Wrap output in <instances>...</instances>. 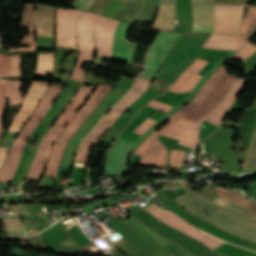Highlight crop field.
I'll list each match as a JSON object with an SVG mask.
<instances>
[{"label":"crop field","instance_id":"1","mask_svg":"<svg viewBox=\"0 0 256 256\" xmlns=\"http://www.w3.org/2000/svg\"><path fill=\"white\" fill-rule=\"evenodd\" d=\"M179 35L180 33L160 32L149 49L146 58V66L141 77L154 80L160 69L165 53ZM141 77L138 78L133 88L100 120L82 142L76 161L88 163L90 151L94 148L97 141L118 119L122 111L146 92L152 80Z\"/></svg>","mask_w":256,"mask_h":256},{"label":"crop field","instance_id":"2","mask_svg":"<svg viewBox=\"0 0 256 256\" xmlns=\"http://www.w3.org/2000/svg\"><path fill=\"white\" fill-rule=\"evenodd\" d=\"M237 81H238L237 77L227 74L211 89V91L208 93V95L205 97L202 103L198 107H196L192 112L184 115L183 118L200 125V123L204 119L211 117L213 113L216 112L220 104L232 91ZM183 118H181L175 124H173L170 128H168L167 131L174 132V133L198 140L199 126ZM167 131H165V133L173 134ZM165 133H163L162 135L180 139L179 141L180 144H183L192 148H194L197 145V142H195L196 140L191 141L193 139L187 140L189 138L184 139L186 137L180 138L183 136L173 134L176 136H180V137H176V136L165 134Z\"/></svg>","mask_w":256,"mask_h":256},{"label":"crop field","instance_id":"3","mask_svg":"<svg viewBox=\"0 0 256 256\" xmlns=\"http://www.w3.org/2000/svg\"><path fill=\"white\" fill-rule=\"evenodd\" d=\"M191 213L223 228L240 237L256 242V229L252 224L234 214H231L217 206L203 200L195 194L189 192L181 197H177L175 201ZM216 208V209H214ZM214 209V210H212ZM212 210L211 215L215 216L212 219L206 217L202 213Z\"/></svg>","mask_w":256,"mask_h":256},{"label":"crop field","instance_id":"4","mask_svg":"<svg viewBox=\"0 0 256 256\" xmlns=\"http://www.w3.org/2000/svg\"><path fill=\"white\" fill-rule=\"evenodd\" d=\"M95 87H82L80 91L76 94L73 102L65 109L57 123L52 127V129L47 133L42 144L40 145L36 158L30 169L26 180L39 182L42 177L47 158L50 154L51 144L55 142L57 137L62 132L64 126L70 121L82 103L87 99Z\"/></svg>","mask_w":256,"mask_h":256},{"label":"crop field","instance_id":"5","mask_svg":"<svg viewBox=\"0 0 256 256\" xmlns=\"http://www.w3.org/2000/svg\"><path fill=\"white\" fill-rule=\"evenodd\" d=\"M61 91L62 90L57 85H53L43 97L31 120L24 126L20 135L16 138L6 166L2 172L0 181L7 183L11 182L18 166L22 150L25 146V141L32 134L38 123L46 115Z\"/></svg>","mask_w":256,"mask_h":256},{"label":"crop field","instance_id":"6","mask_svg":"<svg viewBox=\"0 0 256 256\" xmlns=\"http://www.w3.org/2000/svg\"><path fill=\"white\" fill-rule=\"evenodd\" d=\"M133 83V80L122 75L119 83L109 92V94L104 98V100L72 138L63 155L61 166L72 165L73 157L80 141L101 119L102 115L123 97V95L131 88Z\"/></svg>","mask_w":256,"mask_h":256},{"label":"crop field","instance_id":"7","mask_svg":"<svg viewBox=\"0 0 256 256\" xmlns=\"http://www.w3.org/2000/svg\"><path fill=\"white\" fill-rule=\"evenodd\" d=\"M112 86H103L99 85V88L96 90L95 93L91 95V97L87 100V102L82 106L79 112L74 116L59 138L56 140L51 156L47 163V170L46 174L54 177L57 172L58 164L61 160V156L63 150L69 141V139L73 136L76 129L82 124L84 119L89 116V114L93 111V109L98 105V103L102 100L105 96L107 91ZM109 92V91H108ZM86 120V119H85ZM58 141L61 142V145H58Z\"/></svg>","mask_w":256,"mask_h":256},{"label":"crop field","instance_id":"8","mask_svg":"<svg viewBox=\"0 0 256 256\" xmlns=\"http://www.w3.org/2000/svg\"><path fill=\"white\" fill-rule=\"evenodd\" d=\"M99 15L83 12L76 25L79 59L73 70L72 78L84 82L81 70L84 62H92L95 53L93 29Z\"/></svg>","mask_w":256,"mask_h":256},{"label":"crop field","instance_id":"9","mask_svg":"<svg viewBox=\"0 0 256 256\" xmlns=\"http://www.w3.org/2000/svg\"><path fill=\"white\" fill-rule=\"evenodd\" d=\"M81 13V11L77 10L57 8L55 22L56 45L77 49L75 23Z\"/></svg>","mask_w":256,"mask_h":256},{"label":"crop field","instance_id":"10","mask_svg":"<svg viewBox=\"0 0 256 256\" xmlns=\"http://www.w3.org/2000/svg\"><path fill=\"white\" fill-rule=\"evenodd\" d=\"M146 209L150 211L153 215H155L157 218H159L161 221L202 241L207 246H209L212 250L224 242V241L221 242L218 239L196 229L195 227L187 224L183 219L176 216L175 214L165 211L154 204L148 206Z\"/></svg>","mask_w":256,"mask_h":256},{"label":"crop field","instance_id":"11","mask_svg":"<svg viewBox=\"0 0 256 256\" xmlns=\"http://www.w3.org/2000/svg\"><path fill=\"white\" fill-rule=\"evenodd\" d=\"M245 6L215 5L214 32L238 35Z\"/></svg>","mask_w":256,"mask_h":256},{"label":"crop field","instance_id":"12","mask_svg":"<svg viewBox=\"0 0 256 256\" xmlns=\"http://www.w3.org/2000/svg\"><path fill=\"white\" fill-rule=\"evenodd\" d=\"M47 87L48 82H32L31 88L26 94L22 106L16 117L13 119L8 131L19 133L20 129L30 117Z\"/></svg>","mask_w":256,"mask_h":256},{"label":"crop field","instance_id":"13","mask_svg":"<svg viewBox=\"0 0 256 256\" xmlns=\"http://www.w3.org/2000/svg\"><path fill=\"white\" fill-rule=\"evenodd\" d=\"M118 20L100 16L95 26L96 46L98 57L112 59L113 37Z\"/></svg>","mask_w":256,"mask_h":256},{"label":"crop field","instance_id":"14","mask_svg":"<svg viewBox=\"0 0 256 256\" xmlns=\"http://www.w3.org/2000/svg\"><path fill=\"white\" fill-rule=\"evenodd\" d=\"M193 4V31H209L214 29V1L192 0Z\"/></svg>","mask_w":256,"mask_h":256},{"label":"crop field","instance_id":"15","mask_svg":"<svg viewBox=\"0 0 256 256\" xmlns=\"http://www.w3.org/2000/svg\"><path fill=\"white\" fill-rule=\"evenodd\" d=\"M123 222H125L127 225H129L131 228H133L135 231L141 234L148 241L167 250L168 252L175 256H194L191 253L184 250L183 248H181L180 246L157 236L156 234L148 230L145 226H143L139 221L134 219L132 216Z\"/></svg>","mask_w":256,"mask_h":256},{"label":"crop field","instance_id":"16","mask_svg":"<svg viewBox=\"0 0 256 256\" xmlns=\"http://www.w3.org/2000/svg\"><path fill=\"white\" fill-rule=\"evenodd\" d=\"M130 26L131 25L121 21L116 28L113 60L132 63L133 52L137 44L126 41Z\"/></svg>","mask_w":256,"mask_h":256},{"label":"crop field","instance_id":"17","mask_svg":"<svg viewBox=\"0 0 256 256\" xmlns=\"http://www.w3.org/2000/svg\"><path fill=\"white\" fill-rule=\"evenodd\" d=\"M255 34L246 36H227L212 33L207 41L204 43L203 47L209 49H225L238 51Z\"/></svg>","mask_w":256,"mask_h":256},{"label":"crop field","instance_id":"18","mask_svg":"<svg viewBox=\"0 0 256 256\" xmlns=\"http://www.w3.org/2000/svg\"><path fill=\"white\" fill-rule=\"evenodd\" d=\"M55 7L38 4L35 11L36 36H54Z\"/></svg>","mask_w":256,"mask_h":256},{"label":"crop field","instance_id":"19","mask_svg":"<svg viewBox=\"0 0 256 256\" xmlns=\"http://www.w3.org/2000/svg\"><path fill=\"white\" fill-rule=\"evenodd\" d=\"M207 63L205 60L197 59L184 73L178 78L174 85L170 88V91L181 93L191 91V89L198 83L202 76L197 73Z\"/></svg>","mask_w":256,"mask_h":256},{"label":"crop field","instance_id":"20","mask_svg":"<svg viewBox=\"0 0 256 256\" xmlns=\"http://www.w3.org/2000/svg\"><path fill=\"white\" fill-rule=\"evenodd\" d=\"M6 98H10L9 105H20L23 98L21 95V80H0V131L2 132L1 118Z\"/></svg>","mask_w":256,"mask_h":256},{"label":"crop field","instance_id":"21","mask_svg":"<svg viewBox=\"0 0 256 256\" xmlns=\"http://www.w3.org/2000/svg\"><path fill=\"white\" fill-rule=\"evenodd\" d=\"M108 224L114 230H116L118 233H120L122 236H124L130 242H132L135 246H137L140 250L149 253L156 248V247L152 246L150 243H148L141 236H139L137 233H135L133 230H131L122 221L118 220L117 218L108 222Z\"/></svg>","mask_w":256,"mask_h":256},{"label":"crop field","instance_id":"22","mask_svg":"<svg viewBox=\"0 0 256 256\" xmlns=\"http://www.w3.org/2000/svg\"><path fill=\"white\" fill-rule=\"evenodd\" d=\"M167 157V150L157 139L147 149L140 160L142 166H164Z\"/></svg>","mask_w":256,"mask_h":256},{"label":"crop field","instance_id":"23","mask_svg":"<svg viewBox=\"0 0 256 256\" xmlns=\"http://www.w3.org/2000/svg\"><path fill=\"white\" fill-rule=\"evenodd\" d=\"M34 8H35V5L26 4L22 11V26L29 27V32H28V36H24V40L19 44V45L31 46V48L10 49V51L35 50Z\"/></svg>","mask_w":256,"mask_h":256},{"label":"crop field","instance_id":"24","mask_svg":"<svg viewBox=\"0 0 256 256\" xmlns=\"http://www.w3.org/2000/svg\"><path fill=\"white\" fill-rule=\"evenodd\" d=\"M174 11V0H161L156 20L151 29L167 31L172 22Z\"/></svg>","mask_w":256,"mask_h":256},{"label":"crop field","instance_id":"25","mask_svg":"<svg viewBox=\"0 0 256 256\" xmlns=\"http://www.w3.org/2000/svg\"><path fill=\"white\" fill-rule=\"evenodd\" d=\"M20 76V55H0V77Z\"/></svg>","mask_w":256,"mask_h":256},{"label":"crop field","instance_id":"26","mask_svg":"<svg viewBox=\"0 0 256 256\" xmlns=\"http://www.w3.org/2000/svg\"><path fill=\"white\" fill-rule=\"evenodd\" d=\"M144 0H128L116 19L133 25L138 13L143 6Z\"/></svg>","mask_w":256,"mask_h":256},{"label":"crop field","instance_id":"27","mask_svg":"<svg viewBox=\"0 0 256 256\" xmlns=\"http://www.w3.org/2000/svg\"><path fill=\"white\" fill-rule=\"evenodd\" d=\"M54 53L38 54L35 76H46V72L52 73Z\"/></svg>","mask_w":256,"mask_h":256},{"label":"crop field","instance_id":"28","mask_svg":"<svg viewBox=\"0 0 256 256\" xmlns=\"http://www.w3.org/2000/svg\"><path fill=\"white\" fill-rule=\"evenodd\" d=\"M215 189H216L218 195H220V196H222L240 206H243L245 208H248V209L256 212V204L255 203L246 200V198H244L242 196L232 193L233 191L229 192V191L223 190L221 188H215Z\"/></svg>","mask_w":256,"mask_h":256},{"label":"crop field","instance_id":"29","mask_svg":"<svg viewBox=\"0 0 256 256\" xmlns=\"http://www.w3.org/2000/svg\"><path fill=\"white\" fill-rule=\"evenodd\" d=\"M3 216L5 231L10 235H25L20 217Z\"/></svg>","mask_w":256,"mask_h":256},{"label":"crop field","instance_id":"30","mask_svg":"<svg viewBox=\"0 0 256 256\" xmlns=\"http://www.w3.org/2000/svg\"><path fill=\"white\" fill-rule=\"evenodd\" d=\"M213 202H215V203H217V204H219V205H221V206H223V207H225V208H227V209H229L247 219L250 218V219L256 221V213H252L236 204H233V203L219 197V196H217L213 200Z\"/></svg>","mask_w":256,"mask_h":256},{"label":"crop field","instance_id":"31","mask_svg":"<svg viewBox=\"0 0 256 256\" xmlns=\"http://www.w3.org/2000/svg\"><path fill=\"white\" fill-rule=\"evenodd\" d=\"M159 2L160 0H145L144 8L138 20L152 23L158 10Z\"/></svg>","mask_w":256,"mask_h":256},{"label":"crop field","instance_id":"32","mask_svg":"<svg viewBox=\"0 0 256 256\" xmlns=\"http://www.w3.org/2000/svg\"><path fill=\"white\" fill-rule=\"evenodd\" d=\"M254 133L255 135L252 139L243 169H251L256 166V129Z\"/></svg>","mask_w":256,"mask_h":256},{"label":"crop field","instance_id":"33","mask_svg":"<svg viewBox=\"0 0 256 256\" xmlns=\"http://www.w3.org/2000/svg\"><path fill=\"white\" fill-rule=\"evenodd\" d=\"M124 4V2L111 0V2L108 4L102 15L115 18L117 14L120 12V10L123 8Z\"/></svg>","mask_w":256,"mask_h":256},{"label":"crop field","instance_id":"34","mask_svg":"<svg viewBox=\"0 0 256 256\" xmlns=\"http://www.w3.org/2000/svg\"><path fill=\"white\" fill-rule=\"evenodd\" d=\"M256 18V7L249 6L248 13L244 19L242 29H241V35L244 34V32L248 29V27L252 24V22Z\"/></svg>","mask_w":256,"mask_h":256},{"label":"crop field","instance_id":"35","mask_svg":"<svg viewBox=\"0 0 256 256\" xmlns=\"http://www.w3.org/2000/svg\"><path fill=\"white\" fill-rule=\"evenodd\" d=\"M110 0H96L93 2V4L90 6L88 11L95 12L99 15L103 12L107 4L109 3Z\"/></svg>","mask_w":256,"mask_h":256},{"label":"crop field","instance_id":"36","mask_svg":"<svg viewBox=\"0 0 256 256\" xmlns=\"http://www.w3.org/2000/svg\"><path fill=\"white\" fill-rule=\"evenodd\" d=\"M157 121L148 118L145 122H143L137 129L133 131V133H137L142 135L145 133L148 129H150Z\"/></svg>","mask_w":256,"mask_h":256},{"label":"crop field","instance_id":"37","mask_svg":"<svg viewBox=\"0 0 256 256\" xmlns=\"http://www.w3.org/2000/svg\"><path fill=\"white\" fill-rule=\"evenodd\" d=\"M148 106H151V107H154V108L166 111V112H168L170 109L173 108V106H170L168 104H165V103H162V102H158V101H155V100L151 101L148 104Z\"/></svg>","mask_w":256,"mask_h":256},{"label":"crop field","instance_id":"38","mask_svg":"<svg viewBox=\"0 0 256 256\" xmlns=\"http://www.w3.org/2000/svg\"><path fill=\"white\" fill-rule=\"evenodd\" d=\"M94 0H76L72 6L81 7L83 9H88Z\"/></svg>","mask_w":256,"mask_h":256},{"label":"crop field","instance_id":"39","mask_svg":"<svg viewBox=\"0 0 256 256\" xmlns=\"http://www.w3.org/2000/svg\"><path fill=\"white\" fill-rule=\"evenodd\" d=\"M119 141V139L116 140V142L110 147V149L107 151V156H106V159H108V156H109V153L110 151L113 149V147L117 144V142ZM132 146V144H130L128 146V148L123 152L122 156H121V159H120V163H119V168H120V174H122L121 172V163H122V159H123V155L129 150V148Z\"/></svg>","mask_w":256,"mask_h":256},{"label":"crop field","instance_id":"40","mask_svg":"<svg viewBox=\"0 0 256 256\" xmlns=\"http://www.w3.org/2000/svg\"><path fill=\"white\" fill-rule=\"evenodd\" d=\"M8 149L7 148H1L0 147V168L2 166V163H3V160H4V157L7 153Z\"/></svg>","mask_w":256,"mask_h":256},{"label":"crop field","instance_id":"41","mask_svg":"<svg viewBox=\"0 0 256 256\" xmlns=\"http://www.w3.org/2000/svg\"><path fill=\"white\" fill-rule=\"evenodd\" d=\"M254 29H256V20L253 22V24L249 27V29L245 32V34L251 33ZM244 34V35H245Z\"/></svg>","mask_w":256,"mask_h":256},{"label":"crop field","instance_id":"42","mask_svg":"<svg viewBox=\"0 0 256 256\" xmlns=\"http://www.w3.org/2000/svg\"><path fill=\"white\" fill-rule=\"evenodd\" d=\"M70 244H73V241H72V240L67 241V242H64V243H61V245H62L63 247L68 246V245H70Z\"/></svg>","mask_w":256,"mask_h":256},{"label":"crop field","instance_id":"43","mask_svg":"<svg viewBox=\"0 0 256 256\" xmlns=\"http://www.w3.org/2000/svg\"><path fill=\"white\" fill-rule=\"evenodd\" d=\"M251 222V221H250ZM255 227H256V224L255 223H253V222H251Z\"/></svg>","mask_w":256,"mask_h":256},{"label":"crop field","instance_id":"44","mask_svg":"<svg viewBox=\"0 0 256 256\" xmlns=\"http://www.w3.org/2000/svg\"><path fill=\"white\" fill-rule=\"evenodd\" d=\"M3 134L0 133V137L2 136Z\"/></svg>","mask_w":256,"mask_h":256},{"label":"crop field","instance_id":"45","mask_svg":"<svg viewBox=\"0 0 256 256\" xmlns=\"http://www.w3.org/2000/svg\"><path fill=\"white\" fill-rule=\"evenodd\" d=\"M0 43H1V38H0Z\"/></svg>","mask_w":256,"mask_h":256}]
</instances>
